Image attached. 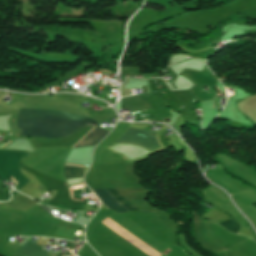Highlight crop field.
I'll use <instances>...</instances> for the list:
<instances>
[{"mask_svg":"<svg viewBox=\"0 0 256 256\" xmlns=\"http://www.w3.org/2000/svg\"><path fill=\"white\" fill-rule=\"evenodd\" d=\"M94 124L89 118L32 106L20 109L18 133L27 137L57 139Z\"/></svg>","mask_w":256,"mask_h":256,"instance_id":"8a807250","label":"crop field"},{"mask_svg":"<svg viewBox=\"0 0 256 256\" xmlns=\"http://www.w3.org/2000/svg\"><path fill=\"white\" fill-rule=\"evenodd\" d=\"M111 193L125 206H127L132 211H136V209L133 205H131L127 200H125L115 189H109ZM108 189H98L93 190L94 193L99 197V199L103 202V204L117 212H127L131 211L127 207H125L123 204H121L109 191Z\"/></svg>","mask_w":256,"mask_h":256,"instance_id":"ac0d7876","label":"crop field"},{"mask_svg":"<svg viewBox=\"0 0 256 256\" xmlns=\"http://www.w3.org/2000/svg\"><path fill=\"white\" fill-rule=\"evenodd\" d=\"M129 132L137 133V134H143L148 135L155 139V134L146 130H139L135 128H129ZM117 143H131V144H137L140 146L145 147L149 151L159 147L157 141H154L148 137L143 136H137L133 134L126 133Z\"/></svg>","mask_w":256,"mask_h":256,"instance_id":"34b2d1b8","label":"crop field"},{"mask_svg":"<svg viewBox=\"0 0 256 256\" xmlns=\"http://www.w3.org/2000/svg\"><path fill=\"white\" fill-rule=\"evenodd\" d=\"M121 107L131 109L132 112L149 109L151 105L141 96L130 97L122 99Z\"/></svg>","mask_w":256,"mask_h":256,"instance_id":"412701ff","label":"crop field"},{"mask_svg":"<svg viewBox=\"0 0 256 256\" xmlns=\"http://www.w3.org/2000/svg\"><path fill=\"white\" fill-rule=\"evenodd\" d=\"M94 128H95V127H94ZM94 128H93V129H94ZM93 129H92V130H93ZM92 130H91V131H92ZM91 131H90V132H91ZM88 133H89V132H88ZM88 133H87V134H88ZM107 133H108V132L105 131V130H102V129H99V128H95L91 133H89L88 135L86 134L87 136L85 135L86 137L84 136L85 138L83 137L84 139L82 138L83 140L81 139L82 141L80 140V141H81V142L79 141L80 143L77 142L78 144L76 143L77 145L75 144L76 146H75V145H74V146H75V147H84V146H92V145H95V144H96L101 138H103Z\"/></svg>","mask_w":256,"mask_h":256,"instance_id":"f4fd0767","label":"crop field"},{"mask_svg":"<svg viewBox=\"0 0 256 256\" xmlns=\"http://www.w3.org/2000/svg\"><path fill=\"white\" fill-rule=\"evenodd\" d=\"M15 253L23 256H49L39 246L29 241H27Z\"/></svg>","mask_w":256,"mask_h":256,"instance_id":"dd49c442","label":"crop field"},{"mask_svg":"<svg viewBox=\"0 0 256 256\" xmlns=\"http://www.w3.org/2000/svg\"><path fill=\"white\" fill-rule=\"evenodd\" d=\"M83 168L65 166V177H79L82 176Z\"/></svg>","mask_w":256,"mask_h":256,"instance_id":"e52e79f7","label":"crop field"},{"mask_svg":"<svg viewBox=\"0 0 256 256\" xmlns=\"http://www.w3.org/2000/svg\"><path fill=\"white\" fill-rule=\"evenodd\" d=\"M221 226H223L225 229H227L228 231L237 234V232L240 229V226L237 225L232 219L223 222V223H219Z\"/></svg>","mask_w":256,"mask_h":256,"instance_id":"d8731c3e","label":"crop field"},{"mask_svg":"<svg viewBox=\"0 0 256 256\" xmlns=\"http://www.w3.org/2000/svg\"><path fill=\"white\" fill-rule=\"evenodd\" d=\"M218 184V183H217ZM219 186H221L220 184H218ZM222 188H224L223 186H221ZM228 193H230L229 192V190H227L226 188H224Z\"/></svg>","mask_w":256,"mask_h":256,"instance_id":"5a996713","label":"crop field"},{"mask_svg":"<svg viewBox=\"0 0 256 256\" xmlns=\"http://www.w3.org/2000/svg\"><path fill=\"white\" fill-rule=\"evenodd\" d=\"M213 105H214V101H213ZM214 109H215V105H214Z\"/></svg>","mask_w":256,"mask_h":256,"instance_id":"3316defc","label":"crop field"},{"mask_svg":"<svg viewBox=\"0 0 256 256\" xmlns=\"http://www.w3.org/2000/svg\"><path fill=\"white\" fill-rule=\"evenodd\" d=\"M10 141H11V140H10ZM8 142H9V141H8ZM8 142H7V143H8ZM4 145H5V144H4Z\"/></svg>","mask_w":256,"mask_h":256,"instance_id":"28ad6ade","label":"crop field"},{"mask_svg":"<svg viewBox=\"0 0 256 256\" xmlns=\"http://www.w3.org/2000/svg\"><path fill=\"white\" fill-rule=\"evenodd\" d=\"M221 92V91H220Z\"/></svg>","mask_w":256,"mask_h":256,"instance_id":"d1516ede","label":"crop field"}]
</instances>
